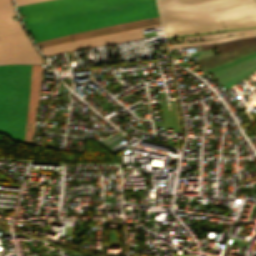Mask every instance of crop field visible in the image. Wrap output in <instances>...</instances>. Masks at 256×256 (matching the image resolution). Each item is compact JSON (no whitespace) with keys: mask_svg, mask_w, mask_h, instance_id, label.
<instances>
[{"mask_svg":"<svg viewBox=\"0 0 256 256\" xmlns=\"http://www.w3.org/2000/svg\"><path fill=\"white\" fill-rule=\"evenodd\" d=\"M9 0H0V65L7 63L42 64L17 21L11 19Z\"/></svg>","mask_w":256,"mask_h":256,"instance_id":"4","label":"crop field"},{"mask_svg":"<svg viewBox=\"0 0 256 256\" xmlns=\"http://www.w3.org/2000/svg\"><path fill=\"white\" fill-rule=\"evenodd\" d=\"M239 34H245V35L233 36V37H227V38H221V39L209 40V41L186 43V42H191V41L206 40V39L231 36V35H239ZM254 35H256V28L255 29H247V30L231 31V32H225V33H219V34H209V35H202V36L187 37V38H184L185 43L172 45V46H169V48L170 49H178V48H185V47L202 45V44H215V43H219V42L230 40V39H238V38L254 36Z\"/></svg>","mask_w":256,"mask_h":256,"instance_id":"8","label":"crop field"},{"mask_svg":"<svg viewBox=\"0 0 256 256\" xmlns=\"http://www.w3.org/2000/svg\"><path fill=\"white\" fill-rule=\"evenodd\" d=\"M256 2V1H255ZM253 0H158L165 36L256 25Z\"/></svg>","mask_w":256,"mask_h":256,"instance_id":"2","label":"crop field"},{"mask_svg":"<svg viewBox=\"0 0 256 256\" xmlns=\"http://www.w3.org/2000/svg\"><path fill=\"white\" fill-rule=\"evenodd\" d=\"M143 38L139 29L97 36L92 38L81 39L77 41L60 44L56 46L46 47L40 49L45 56L57 54L65 51H75L85 49L93 46L105 45L110 43L134 40Z\"/></svg>","mask_w":256,"mask_h":256,"instance_id":"5","label":"crop field"},{"mask_svg":"<svg viewBox=\"0 0 256 256\" xmlns=\"http://www.w3.org/2000/svg\"><path fill=\"white\" fill-rule=\"evenodd\" d=\"M17 8L35 42L158 16L155 0H51Z\"/></svg>","mask_w":256,"mask_h":256,"instance_id":"1","label":"crop field"},{"mask_svg":"<svg viewBox=\"0 0 256 256\" xmlns=\"http://www.w3.org/2000/svg\"><path fill=\"white\" fill-rule=\"evenodd\" d=\"M31 65L0 66V132L23 142Z\"/></svg>","mask_w":256,"mask_h":256,"instance_id":"3","label":"crop field"},{"mask_svg":"<svg viewBox=\"0 0 256 256\" xmlns=\"http://www.w3.org/2000/svg\"><path fill=\"white\" fill-rule=\"evenodd\" d=\"M40 1H46V0H18L15 2H16V5L19 6V5L30 4V3L40 2Z\"/></svg>","mask_w":256,"mask_h":256,"instance_id":"10","label":"crop field"},{"mask_svg":"<svg viewBox=\"0 0 256 256\" xmlns=\"http://www.w3.org/2000/svg\"><path fill=\"white\" fill-rule=\"evenodd\" d=\"M256 68V56L237 63L231 67L223 69L221 71L211 73V75L222 85H226L238 77L246 74L247 72Z\"/></svg>","mask_w":256,"mask_h":256,"instance_id":"9","label":"crop field"},{"mask_svg":"<svg viewBox=\"0 0 256 256\" xmlns=\"http://www.w3.org/2000/svg\"><path fill=\"white\" fill-rule=\"evenodd\" d=\"M158 24H160L159 18L156 17V18H151L149 20L145 19V20L133 21L128 23L117 24V25L102 27L98 29L78 32L70 35H65V36L37 42V45L39 46V48H42V47L65 43V42H69V41H73L81 38L92 37L97 35H103V34L114 33V32L152 26V25H158Z\"/></svg>","mask_w":256,"mask_h":256,"instance_id":"6","label":"crop field"},{"mask_svg":"<svg viewBox=\"0 0 256 256\" xmlns=\"http://www.w3.org/2000/svg\"><path fill=\"white\" fill-rule=\"evenodd\" d=\"M42 79V66L32 65L24 142L32 144L33 129Z\"/></svg>","mask_w":256,"mask_h":256,"instance_id":"7","label":"crop field"}]
</instances>
